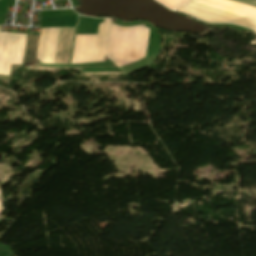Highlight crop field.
I'll use <instances>...</instances> for the list:
<instances>
[{"label":"crop field","mask_w":256,"mask_h":256,"mask_svg":"<svg viewBox=\"0 0 256 256\" xmlns=\"http://www.w3.org/2000/svg\"><path fill=\"white\" fill-rule=\"evenodd\" d=\"M1 204V203H0Z\"/></svg>","instance_id":"28ad6ade"},{"label":"crop field","mask_w":256,"mask_h":256,"mask_svg":"<svg viewBox=\"0 0 256 256\" xmlns=\"http://www.w3.org/2000/svg\"><path fill=\"white\" fill-rule=\"evenodd\" d=\"M188 4H192V5L202 7V8L208 9V10H212V11H215V12H218V13H222V14H225V15L233 16V17H236V18H239V19H243V20H246V21L256 23V20L249 19V18L240 16V15L232 13V12H228V11H225V10H221V9L214 8V7H211V6H207V5H204V4H200V3H197V2L191 1Z\"/></svg>","instance_id":"e52e79f7"},{"label":"crop field","mask_w":256,"mask_h":256,"mask_svg":"<svg viewBox=\"0 0 256 256\" xmlns=\"http://www.w3.org/2000/svg\"><path fill=\"white\" fill-rule=\"evenodd\" d=\"M231 1L256 8V0H231Z\"/></svg>","instance_id":"d8731c3e"},{"label":"crop field","mask_w":256,"mask_h":256,"mask_svg":"<svg viewBox=\"0 0 256 256\" xmlns=\"http://www.w3.org/2000/svg\"><path fill=\"white\" fill-rule=\"evenodd\" d=\"M2 194H1V192H0V196H1Z\"/></svg>","instance_id":"3316defc"},{"label":"crop field","mask_w":256,"mask_h":256,"mask_svg":"<svg viewBox=\"0 0 256 256\" xmlns=\"http://www.w3.org/2000/svg\"><path fill=\"white\" fill-rule=\"evenodd\" d=\"M59 28L41 29L37 56L41 63L53 64Z\"/></svg>","instance_id":"f4fd0767"},{"label":"crop field","mask_w":256,"mask_h":256,"mask_svg":"<svg viewBox=\"0 0 256 256\" xmlns=\"http://www.w3.org/2000/svg\"><path fill=\"white\" fill-rule=\"evenodd\" d=\"M149 29L112 24L107 56L119 66L145 57Z\"/></svg>","instance_id":"8a807250"},{"label":"crop field","mask_w":256,"mask_h":256,"mask_svg":"<svg viewBox=\"0 0 256 256\" xmlns=\"http://www.w3.org/2000/svg\"><path fill=\"white\" fill-rule=\"evenodd\" d=\"M193 1H197L200 3H204L207 5H211V6L225 9L228 11H232V12L241 14L243 16L256 19V9L243 6L237 3H233L227 0H193Z\"/></svg>","instance_id":"dd49c442"},{"label":"crop field","mask_w":256,"mask_h":256,"mask_svg":"<svg viewBox=\"0 0 256 256\" xmlns=\"http://www.w3.org/2000/svg\"><path fill=\"white\" fill-rule=\"evenodd\" d=\"M3 210V207L2 206H0V212Z\"/></svg>","instance_id":"5a996713"},{"label":"crop field","mask_w":256,"mask_h":256,"mask_svg":"<svg viewBox=\"0 0 256 256\" xmlns=\"http://www.w3.org/2000/svg\"><path fill=\"white\" fill-rule=\"evenodd\" d=\"M175 10L183 12L199 20H204V21L213 22V23H235L248 28H252L254 31H256L255 24H252L243 20H239L236 18L228 17L225 15H221V14L211 12L205 9H201L195 6H191L188 4H185Z\"/></svg>","instance_id":"412701ff"},{"label":"crop field","mask_w":256,"mask_h":256,"mask_svg":"<svg viewBox=\"0 0 256 256\" xmlns=\"http://www.w3.org/2000/svg\"><path fill=\"white\" fill-rule=\"evenodd\" d=\"M109 25L110 20L104 19L98 35H76L72 64L103 61Z\"/></svg>","instance_id":"ac0d7876"},{"label":"crop field","mask_w":256,"mask_h":256,"mask_svg":"<svg viewBox=\"0 0 256 256\" xmlns=\"http://www.w3.org/2000/svg\"><path fill=\"white\" fill-rule=\"evenodd\" d=\"M26 36L0 32V75L8 76L10 64H22Z\"/></svg>","instance_id":"34b2d1b8"}]
</instances>
